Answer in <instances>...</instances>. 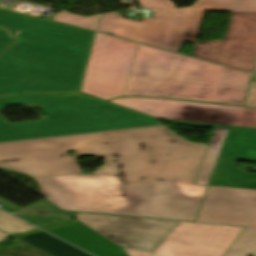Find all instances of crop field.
I'll list each match as a JSON object with an SVG mask.
<instances>
[{"mask_svg": "<svg viewBox=\"0 0 256 256\" xmlns=\"http://www.w3.org/2000/svg\"><path fill=\"white\" fill-rule=\"evenodd\" d=\"M205 149L158 127L0 145V168L79 173L75 158L100 156L96 176L35 179L41 195L63 210L193 221L207 188L193 184Z\"/></svg>", "mask_w": 256, "mask_h": 256, "instance_id": "8a807250", "label": "crop field"}, {"mask_svg": "<svg viewBox=\"0 0 256 256\" xmlns=\"http://www.w3.org/2000/svg\"><path fill=\"white\" fill-rule=\"evenodd\" d=\"M18 43L0 56V96L79 91L95 32L0 9Z\"/></svg>", "mask_w": 256, "mask_h": 256, "instance_id": "ac0d7876", "label": "crop field"}, {"mask_svg": "<svg viewBox=\"0 0 256 256\" xmlns=\"http://www.w3.org/2000/svg\"><path fill=\"white\" fill-rule=\"evenodd\" d=\"M248 79L246 73L138 44L123 96L240 105Z\"/></svg>", "mask_w": 256, "mask_h": 256, "instance_id": "34b2d1b8", "label": "crop field"}, {"mask_svg": "<svg viewBox=\"0 0 256 256\" xmlns=\"http://www.w3.org/2000/svg\"><path fill=\"white\" fill-rule=\"evenodd\" d=\"M36 103L48 119L10 124L0 114V143L159 125L156 118L82 93L17 95L6 105Z\"/></svg>", "mask_w": 256, "mask_h": 256, "instance_id": "412701ff", "label": "crop field"}, {"mask_svg": "<svg viewBox=\"0 0 256 256\" xmlns=\"http://www.w3.org/2000/svg\"><path fill=\"white\" fill-rule=\"evenodd\" d=\"M142 7L156 8L154 19L130 22L120 14L101 17L98 31L176 52L181 41L197 40L205 10L256 12V0H198L176 9L169 0H138Z\"/></svg>", "mask_w": 256, "mask_h": 256, "instance_id": "f4fd0767", "label": "crop field"}, {"mask_svg": "<svg viewBox=\"0 0 256 256\" xmlns=\"http://www.w3.org/2000/svg\"><path fill=\"white\" fill-rule=\"evenodd\" d=\"M109 102L170 123L256 131V109L148 97L117 98Z\"/></svg>", "mask_w": 256, "mask_h": 256, "instance_id": "dd49c442", "label": "crop field"}, {"mask_svg": "<svg viewBox=\"0 0 256 256\" xmlns=\"http://www.w3.org/2000/svg\"><path fill=\"white\" fill-rule=\"evenodd\" d=\"M195 221L246 226L224 256H256V191L209 187Z\"/></svg>", "mask_w": 256, "mask_h": 256, "instance_id": "e52e79f7", "label": "crop field"}, {"mask_svg": "<svg viewBox=\"0 0 256 256\" xmlns=\"http://www.w3.org/2000/svg\"><path fill=\"white\" fill-rule=\"evenodd\" d=\"M136 45L96 33L80 91L106 100L122 96Z\"/></svg>", "mask_w": 256, "mask_h": 256, "instance_id": "d8731c3e", "label": "crop field"}, {"mask_svg": "<svg viewBox=\"0 0 256 256\" xmlns=\"http://www.w3.org/2000/svg\"><path fill=\"white\" fill-rule=\"evenodd\" d=\"M243 229L178 222L154 253L123 251L129 256H223Z\"/></svg>", "mask_w": 256, "mask_h": 256, "instance_id": "5a996713", "label": "crop field"}, {"mask_svg": "<svg viewBox=\"0 0 256 256\" xmlns=\"http://www.w3.org/2000/svg\"><path fill=\"white\" fill-rule=\"evenodd\" d=\"M194 57L253 72L256 13L232 12L225 40L196 44Z\"/></svg>", "mask_w": 256, "mask_h": 256, "instance_id": "3316defc", "label": "crop field"}, {"mask_svg": "<svg viewBox=\"0 0 256 256\" xmlns=\"http://www.w3.org/2000/svg\"><path fill=\"white\" fill-rule=\"evenodd\" d=\"M76 219L124 248L154 252L177 222L92 213H76Z\"/></svg>", "mask_w": 256, "mask_h": 256, "instance_id": "28ad6ade", "label": "crop field"}, {"mask_svg": "<svg viewBox=\"0 0 256 256\" xmlns=\"http://www.w3.org/2000/svg\"><path fill=\"white\" fill-rule=\"evenodd\" d=\"M237 159L256 161V133L229 131L210 185L256 189V174L236 169Z\"/></svg>", "mask_w": 256, "mask_h": 256, "instance_id": "d1516ede", "label": "crop field"}, {"mask_svg": "<svg viewBox=\"0 0 256 256\" xmlns=\"http://www.w3.org/2000/svg\"><path fill=\"white\" fill-rule=\"evenodd\" d=\"M96 256H128L115 244L78 222L74 225L48 231Z\"/></svg>", "mask_w": 256, "mask_h": 256, "instance_id": "22f410ed", "label": "crop field"}, {"mask_svg": "<svg viewBox=\"0 0 256 256\" xmlns=\"http://www.w3.org/2000/svg\"><path fill=\"white\" fill-rule=\"evenodd\" d=\"M41 228L67 221L74 212L63 211L45 199L11 213Z\"/></svg>", "mask_w": 256, "mask_h": 256, "instance_id": "cbeb9de0", "label": "crop field"}, {"mask_svg": "<svg viewBox=\"0 0 256 256\" xmlns=\"http://www.w3.org/2000/svg\"><path fill=\"white\" fill-rule=\"evenodd\" d=\"M18 239L51 256H91L45 232Z\"/></svg>", "mask_w": 256, "mask_h": 256, "instance_id": "5142ce71", "label": "crop field"}, {"mask_svg": "<svg viewBox=\"0 0 256 256\" xmlns=\"http://www.w3.org/2000/svg\"><path fill=\"white\" fill-rule=\"evenodd\" d=\"M227 131L228 130L222 129L215 130L208 151L206 153L205 159L203 161L201 170L199 172L198 178L196 180L197 184H208L214 166L216 164L218 155L220 153L221 147L223 145L225 136L227 134Z\"/></svg>", "mask_w": 256, "mask_h": 256, "instance_id": "d9b57169", "label": "crop field"}, {"mask_svg": "<svg viewBox=\"0 0 256 256\" xmlns=\"http://www.w3.org/2000/svg\"><path fill=\"white\" fill-rule=\"evenodd\" d=\"M36 229L0 210V230L13 235Z\"/></svg>", "mask_w": 256, "mask_h": 256, "instance_id": "733c2abd", "label": "crop field"}, {"mask_svg": "<svg viewBox=\"0 0 256 256\" xmlns=\"http://www.w3.org/2000/svg\"><path fill=\"white\" fill-rule=\"evenodd\" d=\"M96 19L97 17H78L61 11L53 20L94 30Z\"/></svg>", "mask_w": 256, "mask_h": 256, "instance_id": "4a817a6b", "label": "crop field"}, {"mask_svg": "<svg viewBox=\"0 0 256 256\" xmlns=\"http://www.w3.org/2000/svg\"><path fill=\"white\" fill-rule=\"evenodd\" d=\"M245 106L256 107V82L254 81L250 84Z\"/></svg>", "mask_w": 256, "mask_h": 256, "instance_id": "bc2a9ffb", "label": "crop field"}, {"mask_svg": "<svg viewBox=\"0 0 256 256\" xmlns=\"http://www.w3.org/2000/svg\"><path fill=\"white\" fill-rule=\"evenodd\" d=\"M14 42L5 30L0 29V52Z\"/></svg>", "mask_w": 256, "mask_h": 256, "instance_id": "214f88e0", "label": "crop field"}, {"mask_svg": "<svg viewBox=\"0 0 256 256\" xmlns=\"http://www.w3.org/2000/svg\"><path fill=\"white\" fill-rule=\"evenodd\" d=\"M0 205L2 206V207H0L1 209L5 210V211H7L9 213L20 209L19 207H17L15 205H13V204H11V203L1 199V198H0Z\"/></svg>", "mask_w": 256, "mask_h": 256, "instance_id": "92a150f3", "label": "crop field"}, {"mask_svg": "<svg viewBox=\"0 0 256 256\" xmlns=\"http://www.w3.org/2000/svg\"><path fill=\"white\" fill-rule=\"evenodd\" d=\"M76 222H78V220H73V221H70V222H68V223L61 224V225H59V226H55V227H51V228H45V229H43V230H45V231L53 230V229H57V228H61V227H65V226L74 224V223H76Z\"/></svg>", "mask_w": 256, "mask_h": 256, "instance_id": "dafd665d", "label": "crop field"}, {"mask_svg": "<svg viewBox=\"0 0 256 256\" xmlns=\"http://www.w3.org/2000/svg\"><path fill=\"white\" fill-rule=\"evenodd\" d=\"M37 232H41V230H34V231H31V232H28V233H25V234H21V235H17V236H13V237L17 238V237H21V236L37 233Z\"/></svg>", "mask_w": 256, "mask_h": 256, "instance_id": "00972430", "label": "crop field"}, {"mask_svg": "<svg viewBox=\"0 0 256 256\" xmlns=\"http://www.w3.org/2000/svg\"><path fill=\"white\" fill-rule=\"evenodd\" d=\"M251 80H255L256 81V65H255L253 76H252Z\"/></svg>", "mask_w": 256, "mask_h": 256, "instance_id": "a9b5d70f", "label": "crop field"}]
</instances>
